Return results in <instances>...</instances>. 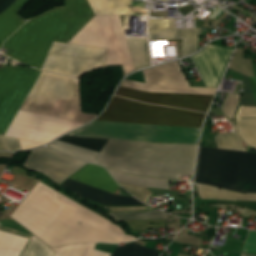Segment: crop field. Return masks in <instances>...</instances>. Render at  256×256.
Segmentation results:
<instances>
[{
    "label": "crop field",
    "mask_w": 256,
    "mask_h": 256,
    "mask_svg": "<svg viewBox=\"0 0 256 256\" xmlns=\"http://www.w3.org/2000/svg\"><path fill=\"white\" fill-rule=\"evenodd\" d=\"M69 199L38 181L12 218L53 247L137 239Z\"/></svg>",
    "instance_id": "8a807250"
},
{
    "label": "crop field",
    "mask_w": 256,
    "mask_h": 256,
    "mask_svg": "<svg viewBox=\"0 0 256 256\" xmlns=\"http://www.w3.org/2000/svg\"><path fill=\"white\" fill-rule=\"evenodd\" d=\"M205 115L149 106L114 96L97 120L201 128ZM94 121L67 135L156 143L197 144L201 129Z\"/></svg>",
    "instance_id": "ac0d7876"
},
{
    "label": "crop field",
    "mask_w": 256,
    "mask_h": 256,
    "mask_svg": "<svg viewBox=\"0 0 256 256\" xmlns=\"http://www.w3.org/2000/svg\"><path fill=\"white\" fill-rule=\"evenodd\" d=\"M93 16L86 0H64V7L24 24L2 48L9 49L7 56L40 69L53 41L67 43Z\"/></svg>",
    "instance_id": "34b2d1b8"
},
{
    "label": "crop field",
    "mask_w": 256,
    "mask_h": 256,
    "mask_svg": "<svg viewBox=\"0 0 256 256\" xmlns=\"http://www.w3.org/2000/svg\"><path fill=\"white\" fill-rule=\"evenodd\" d=\"M196 148L109 140L94 163L140 176L179 179L180 175H192Z\"/></svg>",
    "instance_id": "412701ff"
},
{
    "label": "crop field",
    "mask_w": 256,
    "mask_h": 256,
    "mask_svg": "<svg viewBox=\"0 0 256 256\" xmlns=\"http://www.w3.org/2000/svg\"><path fill=\"white\" fill-rule=\"evenodd\" d=\"M194 183L256 193V154L200 147Z\"/></svg>",
    "instance_id": "f4fd0767"
},
{
    "label": "crop field",
    "mask_w": 256,
    "mask_h": 256,
    "mask_svg": "<svg viewBox=\"0 0 256 256\" xmlns=\"http://www.w3.org/2000/svg\"><path fill=\"white\" fill-rule=\"evenodd\" d=\"M20 110L83 123L98 116L82 113L78 80L47 72L40 73Z\"/></svg>",
    "instance_id": "dd49c442"
},
{
    "label": "crop field",
    "mask_w": 256,
    "mask_h": 256,
    "mask_svg": "<svg viewBox=\"0 0 256 256\" xmlns=\"http://www.w3.org/2000/svg\"><path fill=\"white\" fill-rule=\"evenodd\" d=\"M83 123L18 111L5 136L17 138L22 150L51 142Z\"/></svg>",
    "instance_id": "e52e79f7"
},
{
    "label": "crop field",
    "mask_w": 256,
    "mask_h": 256,
    "mask_svg": "<svg viewBox=\"0 0 256 256\" xmlns=\"http://www.w3.org/2000/svg\"><path fill=\"white\" fill-rule=\"evenodd\" d=\"M110 176L105 169L89 164L71 178L89 186L115 193L118 185ZM72 179L64 181L59 186L69 188L79 197L86 198L105 206L143 205L134 198L117 196L113 193L78 183Z\"/></svg>",
    "instance_id": "d8731c3e"
},
{
    "label": "crop field",
    "mask_w": 256,
    "mask_h": 256,
    "mask_svg": "<svg viewBox=\"0 0 256 256\" xmlns=\"http://www.w3.org/2000/svg\"><path fill=\"white\" fill-rule=\"evenodd\" d=\"M41 71L4 67L0 69V134L4 135Z\"/></svg>",
    "instance_id": "5a996713"
},
{
    "label": "crop field",
    "mask_w": 256,
    "mask_h": 256,
    "mask_svg": "<svg viewBox=\"0 0 256 256\" xmlns=\"http://www.w3.org/2000/svg\"><path fill=\"white\" fill-rule=\"evenodd\" d=\"M105 52L103 49L54 42L41 69L77 77L90 68L103 65Z\"/></svg>",
    "instance_id": "3316defc"
},
{
    "label": "crop field",
    "mask_w": 256,
    "mask_h": 256,
    "mask_svg": "<svg viewBox=\"0 0 256 256\" xmlns=\"http://www.w3.org/2000/svg\"><path fill=\"white\" fill-rule=\"evenodd\" d=\"M145 82L125 80L122 87L148 92L197 93L213 95L216 88L190 87L177 61L143 71Z\"/></svg>",
    "instance_id": "28ad6ade"
},
{
    "label": "crop field",
    "mask_w": 256,
    "mask_h": 256,
    "mask_svg": "<svg viewBox=\"0 0 256 256\" xmlns=\"http://www.w3.org/2000/svg\"><path fill=\"white\" fill-rule=\"evenodd\" d=\"M115 95L141 102L169 105L194 111L207 112L213 96L196 94L148 93L120 87Z\"/></svg>",
    "instance_id": "d1516ede"
},
{
    "label": "crop field",
    "mask_w": 256,
    "mask_h": 256,
    "mask_svg": "<svg viewBox=\"0 0 256 256\" xmlns=\"http://www.w3.org/2000/svg\"><path fill=\"white\" fill-rule=\"evenodd\" d=\"M233 50L208 44L192 57L206 87H217Z\"/></svg>",
    "instance_id": "22f410ed"
},
{
    "label": "crop field",
    "mask_w": 256,
    "mask_h": 256,
    "mask_svg": "<svg viewBox=\"0 0 256 256\" xmlns=\"http://www.w3.org/2000/svg\"><path fill=\"white\" fill-rule=\"evenodd\" d=\"M202 28L173 30V19H149L150 41L182 39V57L196 52Z\"/></svg>",
    "instance_id": "cbeb9de0"
},
{
    "label": "crop field",
    "mask_w": 256,
    "mask_h": 256,
    "mask_svg": "<svg viewBox=\"0 0 256 256\" xmlns=\"http://www.w3.org/2000/svg\"><path fill=\"white\" fill-rule=\"evenodd\" d=\"M28 1L29 0H17L3 14L0 15V47L4 40H6L20 26H22L25 22H27L21 19L18 16L17 12Z\"/></svg>",
    "instance_id": "5142ce71"
},
{
    "label": "crop field",
    "mask_w": 256,
    "mask_h": 256,
    "mask_svg": "<svg viewBox=\"0 0 256 256\" xmlns=\"http://www.w3.org/2000/svg\"><path fill=\"white\" fill-rule=\"evenodd\" d=\"M237 117H256V108L240 106ZM242 139L256 148V119H237Z\"/></svg>",
    "instance_id": "d9b57169"
},
{
    "label": "crop field",
    "mask_w": 256,
    "mask_h": 256,
    "mask_svg": "<svg viewBox=\"0 0 256 256\" xmlns=\"http://www.w3.org/2000/svg\"><path fill=\"white\" fill-rule=\"evenodd\" d=\"M95 15H128L131 0H88Z\"/></svg>",
    "instance_id": "733c2abd"
},
{
    "label": "crop field",
    "mask_w": 256,
    "mask_h": 256,
    "mask_svg": "<svg viewBox=\"0 0 256 256\" xmlns=\"http://www.w3.org/2000/svg\"><path fill=\"white\" fill-rule=\"evenodd\" d=\"M29 241L0 231V256H21Z\"/></svg>",
    "instance_id": "4a817a6b"
},
{
    "label": "crop field",
    "mask_w": 256,
    "mask_h": 256,
    "mask_svg": "<svg viewBox=\"0 0 256 256\" xmlns=\"http://www.w3.org/2000/svg\"><path fill=\"white\" fill-rule=\"evenodd\" d=\"M200 198L229 199L256 202V195L224 191L215 187L197 185Z\"/></svg>",
    "instance_id": "bc2a9ffb"
},
{
    "label": "crop field",
    "mask_w": 256,
    "mask_h": 256,
    "mask_svg": "<svg viewBox=\"0 0 256 256\" xmlns=\"http://www.w3.org/2000/svg\"><path fill=\"white\" fill-rule=\"evenodd\" d=\"M108 171L112 174L116 181L120 183L150 188H168V180L139 177L109 169Z\"/></svg>",
    "instance_id": "214f88e0"
},
{
    "label": "crop field",
    "mask_w": 256,
    "mask_h": 256,
    "mask_svg": "<svg viewBox=\"0 0 256 256\" xmlns=\"http://www.w3.org/2000/svg\"><path fill=\"white\" fill-rule=\"evenodd\" d=\"M135 69L150 66L147 40L126 39Z\"/></svg>",
    "instance_id": "92a150f3"
},
{
    "label": "crop field",
    "mask_w": 256,
    "mask_h": 256,
    "mask_svg": "<svg viewBox=\"0 0 256 256\" xmlns=\"http://www.w3.org/2000/svg\"><path fill=\"white\" fill-rule=\"evenodd\" d=\"M95 244L67 245L61 248H52L55 256H110V254L93 250Z\"/></svg>",
    "instance_id": "dafd665d"
},
{
    "label": "crop field",
    "mask_w": 256,
    "mask_h": 256,
    "mask_svg": "<svg viewBox=\"0 0 256 256\" xmlns=\"http://www.w3.org/2000/svg\"><path fill=\"white\" fill-rule=\"evenodd\" d=\"M50 147L57 149L59 151H62L70 156L88 161V162H93L95 160V158L97 157L98 153L92 152L90 150L84 149V148H80V147H76V146H72L69 144H65L62 142H54L51 145H49Z\"/></svg>",
    "instance_id": "00972430"
},
{
    "label": "crop field",
    "mask_w": 256,
    "mask_h": 256,
    "mask_svg": "<svg viewBox=\"0 0 256 256\" xmlns=\"http://www.w3.org/2000/svg\"><path fill=\"white\" fill-rule=\"evenodd\" d=\"M58 140L64 141L72 145L98 151V152H100V150L104 147V145L108 141V140H102V139L81 138V137H71V136H64L59 138Z\"/></svg>",
    "instance_id": "a9b5d70f"
},
{
    "label": "crop field",
    "mask_w": 256,
    "mask_h": 256,
    "mask_svg": "<svg viewBox=\"0 0 256 256\" xmlns=\"http://www.w3.org/2000/svg\"><path fill=\"white\" fill-rule=\"evenodd\" d=\"M214 139L218 148L245 151L237 132L219 134Z\"/></svg>",
    "instance_id": "4177f3b9"
},
{
    "label": "crop field",
    "mask_w": 256,
    "mask_h": 256,
    "mask_svg": "<svg viewBox=\"0 0 256 256\" xmlns=\"http://www.w3.org/2000/svg\"><path fill=\"white\" fill-rule=\"evenodd\" d=\"M111 256H160V255L148 248L139 246L138 244L133 242L127 246L116 248V250L113 252Z\"/></svg>",
    "instance_id": "730fd06b"
},
{
    "label": "crop field",
    "mask_w": 256,
    "mask_h": 256,
    "mask_svg": "<svg viewBox=\"0 0 256 256\" xmlns=\"http://www.w3.org/2000/svg\"><path fill=\"white\" fill-rule=\"evenodd\" d=\"M30 254H33L32 256H54L55 252L34 236L23 256H31Z\"/></svg>",
    "instance_id": "eef30255"
},
{
    "label": "crop field",
    "mask_w": 256,
    "mask_h": 256,
    "mask_svg": "<svg viewBox=\"0 0 256 256\" xmlns=\"http://www.w3.org/2000/svg\"><path fill=\"white\" fill-rule=\"evenodd\" d=\"M239 97L237 95L228 94L226 100L221 108L224 114L229 118H234V114L236 111V107L239 101Z\"/></svg>",
    "instance_id": "ae1a2a85"
},
{
    "label": "crop field",
    "mask_w": 256,
    "mask_h": 256,
    "mask_svg": "<svg viewBox=\"0 0 256 256\" xmlns=\"http://www.w3.org/2000/svg\"><path fill=\"white\" fill-rule=\"evenodd\" d=\"M243 78H244L245 93H244V97L241 105L256 107V103L253 98V94L249 85L248 78L244 75H243Z\"/></svg>",
    "instance_id": "d3111659"
},
{
    "label": "crop field",
    "mask_w": 256,
    "mask_h": 256,
    "mask_svg": "<svg viewBox=\"0 0 256 256\" xmlns=\"http://www.w3.org/2000/svg\"><path fill=\"white\" fill-rule=\"evenodd\" d=\"M243 253L256 254V232H249Z\"/></svg>",
    "instance_id": "750c4746"
},
{
    "label": "crop field",
    "mask_w": 256,
    "mask_h": 256,
    "mask_svg": "<svg viewBox=\"0 0 256 256\" xmlns=\"http://www.w3.org/2000/svg\"><path fill=\"white\" fill-rule=\"evenodd\" d=\"M5 138L11 151L20 150L16 139L7 137Z\"/></svg>",
    "instance_id": "bd1437ed"
},
{
    "label": "crop field",
    "mask_w": 256,
    "mask_h": 256,
    "mask_svg": "<svg viewBox=\"0 0 256 256\" xmlns=\"http://www.w3.org/2000/svg\"><path fill=\"white\" fill-rule=\"evenodd\" d=\"M16 0H0V14L4 12Z\"/></svg>",
    "instance_id": "1d83c4d3"
},
{
    "label": "crop field",
    "mask_w": 256,
    "mask_h": 256,
    "mask_svg": "<svg viewBox=\"0 0 256 256\" xmlns=\"http://www.w3.org/2000/svg\"><path fill=\"white\" fill-rule=\"evenodd\" d=\"M0 150H9L5 138L0 136Z\"/></svg>",
    "instance_id": "120bbe31"
},
{
    "label": "crop field",
    "mask_w": 256,
    "mask_h": 256,
    "mask_svg": "<svg viewBox=\"0 0 256 256\" xmlns=\"http://www.w3.org/2000/svg\"><path fill=\"white\" fill-rule=\"evenodd\" d=\"M248 78H249V77H248ZM253 80H254V82H255V84H256V79L253 78ZM249 81H250L251 88H252V91H253V94H254V97H255V100H256V87H255V85H254V83H253V81H252L251 78H249Z\"/></svg>",
    "instance_id": "d32e631a"
},
{
    "label": "crop field",
    "mask_w": 256,
    "mask_h": 256,
    "mask_svg": "<svg viewBox=\"0 0 256 256\" xmlns=\"http://www.w3.org/2000/svg\"><path fill=\"white\" fill-rule=\"evenodd\" d=\"M242 256H253V255H246V254H243Z\"/></svg>",
    "instance_id": "5866460e"
}]
</instances>
